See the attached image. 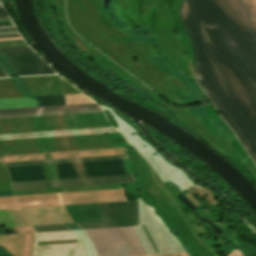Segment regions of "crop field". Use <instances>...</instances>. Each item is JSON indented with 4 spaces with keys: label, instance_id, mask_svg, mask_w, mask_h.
Wrapping results in <instances>:
<instances>
[{
    "label": "crop field",
    "instance_id": "8a807250",
    "mask_svg": "<svg viewBox=\"0 0 256 256\" xmlns=\"http://www.w3.org/2000/svg\"><path fill=\"white\" fill-rule=\"evenodd\" d=\"M91 238L97 256L136 255L133 248L116 227L85 230Z\"/></svg>",
    "mask_w": 256,
    "mask_h": 256
},
{
    "label": "crop field",
    "instance_id": "ac0d7876",
    "mask_svg": "<svg viewBox=\"0 0 256 256\" xmlns=\"http://www.w3.org/2000/svg\"><path fill=\"white\" fill-rule=\"evenodd\" d=\"M18 76L55 73L34 51L2 53Z\"/></svg>",
    "mask_w": 256,
    "mask_h": 256
},
{
    "label": "crop field",
    "instance_id": "34b2d1b8",
    "mask_svg": "<svg viewBox=\"0 0 256 256\" xmlns=\"http://www.w3.org/2000/svg\"><path fill=\"white\" fill-rule=\"evenodd\" d=\"M100 205L116 226L138 225L137 201L106 202L100 203Z\"/></svg>",
    "mask_w": 256,
    "mask_h": 256
},
{
    "label": "crop field",
    "instance_id": "412701ff",
    "mask_svg": "<svg viewBox=\"0 0 256 256\" xmlns=\"http://www.w3.org/2000/svg\"><path fill=\"white\" fill-rule=\"evenodd\" d=\"M56 166L59 178L80 176L74 163L56 164ZM8 169L10 170L12 181L45 179L41 165L15 166L8 167Z\"/></svg>",
    "mask_w": 256,
    "mask_h": 256
},
{
    "label": "crop field",
    "instance_id": "f4fd0767",
    "mask_svg": "<svg viewBox=\"0 0 256 256\" xmlns=\"http://www.w3.org/2000/svg\"><path fill=\"white\" fill-rule=\"evenodd\" d=\"M82 176L126 173L123 160L75 163Z\"/></svg>",
    "mask_w": 256,
    "mask_h": 256
},
{
    "label": "crop field",
    "instance_id": "dd49c442",
    "mask_svg": "<svg viewBox=\"0 0 256 256\" xmlns=\"http://www.w3.org/2000/svg\"><path fill=\"white\" fill-rule=\"evenodd\" d=\"M38 106L65 104L63 95L31 97ZM29 97L0 99V108L37 106Z\"/></svg>",
    "mask_w": 256,
    "mask_h": 256
},
{
    "label": "crop field",
    "instance_id": "e52e79f7",
    "mask_svg": "<svg viewBox=\"0 0 256 256\" xmlns=\"http://www.w3.org/2000/svg\"><path fill=\"white\" fill-rule=\"evenodd\" d=\"M14 190L85 185L82 177L12 182Z\"/></svg>",
    "mask_w": 256,
    "mask_h": 256
},
{
    "label": "crop field",
    "instance_id": "d8731c3e",
    "mask_svg": "<svg viewBox=\"0 0 256 256\" xmlns=\"http://www.w3.org/2000/svg\"><path fill=\"white\" fill-rule=\"evenodd\" d=\"M75 222L108 220L98 203L66 205Z\"/></svg>",
    "mask_w": 256,
    "mask_h": 256
},
{
    "label": "crop field",
    "instance_id": "5a996713",
    "mask_svg": "<svg viewBox=\"0 0 256 256\" xmlns=\"http://www.w3.org/2000/svg\"><path fill=\"white\" fill-rule=\"evenodd\" d=\"M87 185L136 182L133 174L84 177Z\"/></svg>",
    "mask_w": 256,
    "mask_h": 256
},
{
    "label": "crop field",
    "instance_id": "3316defc",
    "mask_svg": "<svg viewBox=\"0 0 256 256\" xmlns=\"http://www.w3.org/2000/svg\"><path fill=\"white\" fill-rule=\"evenodd\" d=\"M118 228L125 235V237L131 242V244L134 246L138 255H146L137 236H136V231H135L134 226L118 227Z\"/></svg>",
    "mask_w": 256,
    "mask_h": 256
},
{
    "label": "crop field",
    "instance_id": "28ad6ade",
    "mask_svg": "<svg viewBox=\"0 0 256 256\" xmlns=\"http://www.w3.org/2000/svg\"><path fill=\"white\" fill-rule=\"evenodd\" d=\"M59 109H66V106L65 105H59V106H45V107L1 109L0 114H2V113H16V112L45 111V110H59Z\"/></svg>",
    "mask_w": 256,
    "mask_h": 256
},
{
    "label": "crop field",
    "instance_id": "d1516ede",
    "mask_svg": "<svg viewBox=\"0 0 256 256\" xmlns=\"http://www.w3.org/2000/svg\"><path fill=\"white\" fill-rule=\"evenodd\" d=\"M64 162H73V161L71 158H65V159H51V160H37V161L9 162V163H4V164L6 166H15V165L64 163Z\"/></svg>",
    "mask_w": 256,
    "mask_h": 256
},
{
    "label": "crop field",
    "instance_id": "22f410ed",
    "mask_svg": "<svg viewBox=\"0 0 256 256\" xmlns=\"http://www.w3.org/2000/svg\"><path fill=\"white\" fill-rule=\"evenodd\" d=\"M66 110L59 111H45V112H31V113H17V114H2L0 118H9V117H25V116H41V115H57L65 114Z\"/></svg>",
    "mask_w": 256,
    "mask_h": 256
},
{
    "label": "crop field",
    "instance_id": "cbeb9de0",
    "mask_svg": "<svg viewBox=\"0 0 256 256\" xmlns=\"http://www.w3.org/2000/svg\"><path fill=\"white\" fill-rule=\"evenodd\" d=\"M116 158H128L127 154L120 155H106V156H93V157H79L73 158L75 162L80 161H92V160H104V159H116Z\"/></svg>",
    "mask_w": 256,
    "mask_h": 256
},
{
    "label": "crop field",
    "instance_id": "5142ce71",
    "mask_svg": "<svg viewBox=\"0 0 256 256\" xmlns=\"http://www.w3.org/2000/svg\"><path fill=\"white\" fill-rule=\"evenodd\" d=\"M35 232L70 229L66 224L32 226Z\"/></svg>",
    "mask_w": 256,
    "mask_h": 256
},
{
    "label": "crop field",
    "instance_id": "d9b57169",
    "mask_svg": "<svg viewBox=\"0 0 256 256\" xmlns=\"http://www.w3.org/2000/svg\"><path fill=\"white\" fill-rule=\"evenodd\" d=\"M79 229L114 226L110 221L76 223Z\"/></svg>",
    "mask_w": 256,
    "mask_h": 256
},
{
    "label": "crop field",
    "instance_id": "733c2abd",
    "mask_svg": "<svg viewBox=\"0 0 256 256\" xmlns=\"http://www.w3.org/2000/svg\"><path fill=\"white\" fill-rule=\"evenodd\" d=\"M32 50L28 46H20V47H4L0 48V52H9V51H25Z\"/></svg>",
    "mask_w": 256,
    "mask_h": 256
},
{
    "label": "crop field",
    "instance_id": "4a817a6b",
    "mask_svg": "<svg viewBox=\"0 0 256 256\" xmlns=\"http://www.w3.org/2000/svg\"><path fill=\"white\" fill-rule=\"evenodd\" d=\"M102 111L101 108H92V109H76V110H68L67 114L73 113H85V112H97Z\"/></svg>",
    "mask_w": 256,
    "mask_h": 256
},
{
    "label": "crop field",
    "instance_id": "bc2a9ffb",
    "mask_svg": "<svg viewBox=\"0 0 256 256\" xmlns=\"http://www.w3.org/2000/svg\"><path fill=\"white\" fill-rule=\"evenodd\" d=\"M68 109L98 107L96 103L67 105Z\"/></svg>",
    "mask_w": 256,
    "mask_h": 256
},
{
    "label": "crop field",
    "instance_id": "214f88e0",
    "mask_svg": "<svg viewBox=\"0 0 256 256\" xmlns=\"http://www.w3.org/2000/svg\"><path fill=\"white\" fill-rule=\"evenodd\" d=\"M3 76H9V75L7 74L5 69L3 68L2 64L0 63V77H3Z\"/></svg>",
    "mask_w": 256,
    "mask_h": 256
},
{
    "label": "crop field",
    "instance_id": "92a150f3",
    "mask_svg": "<svg viewBox=\"0 0 256 256\" xmlns=\"http://www.w3.org/2000/svg\"><path fill=\"white\" fill-rule=\"evenodd\" d=\"M13 195L12 191L0 192V196Z\"/></svg>",
    "mask_w": 256,
    "mask_h": 256
},
{
    "label": "crop field",
    "instance_id": "dafd665d",
    "mask_svg": "<svg viewBox=\"0 0 256 256\" xmlns=\"http://www.w3.org/2000/svg\"><path fill=\"white\" fill-rule=\"evenodd\" d=\"M17 42H23V40H15V41H0V44H2V43H17Z\"/></svg>",
    "mask_w": 256,
    "mask_h": 256
},
{
    "label": "crop field",
    "instance_id": "00972430",
    "mask_svg": "<svg viewBox=\"0 0 256 256\" xmlns=\"http://www.w3.org/2000/svg\"><path fill=\"white\" fill-rule=\"evenodd\" d=\"M0 16H7L3 8H0Z\"/></svg>",
    "mask_w": 256,
    "mask_h": 256
},
{
    "label": "crop field",
    "instance_id": "a9b5d70f",
    "mask_svg": "<svg viewBox=\"0 0 256 256\" xmlns=\"http://www.w3.org/2000/svg\"><path fill=\"white\" fill-rule=\"evenodd\" d=\"M13 36H20L19 34H12V35H0V37H13Z\"/></svg>",
    "mask_w": 256,
    "mask_h": 256
},
{
    "label": "crop field",
    "instance_id": "4177f3b9",
    "mask_svg": "<svg viewBox=\"0 0 256 256\" xmlns=\"http://www.w3.org/2000/svg\"><path fill=\"white\" fill-rule=\"evenodd\" d=\"M5 25H13L12 22H4L0 23V26H5Z\"/></svg>",
    "mask_w": 256,
    "mask_h": 256
},
{
    "label": "crop field",
    "instance_id": "730fd06b",
    "mask_svg": "<svg viewBox=\"0 0 256 256\" xmlns=\"http://www.w3.org/2000/svg\"><path fill=\"white\" fill-rule=\"evenodd\" d=\"M12 33H18V32L17 31L0 32V34H12Z\"/></svg>",
    "mask_w": 256,
    "mask_h": 256
},
{
    "label": "crop field",
    "instance_id": "eef30255",
    "mask_svg": "<svg viewBox=\"0 0 256 256\" xmlns=\"http://www.w3.org/2000/svg\"><path fill=\"white\" fill-rule=\"evenodd\" d=\"M9 30H16V29L15 28L0 29V31H9Z\"/></svg>",
    "mask_w": 256,
    "mask_h": 256
},
{
    "label": "crop field",
    "instance_id": "ae1a2a85",
    "mask_svg": "<svg viewBox=\"0 0 256 256\" xmlns=\"http://www.w3.org/2000/svg\"><path fill=\"white\" fill-rule=\"evenodd\" d=\"M4 21H11L10 19H3V20H0V22H4Z\"/></svg>",
    "mask_w": 256,
    "mask_h": 256
},
{
    "label": "crop field",
    "instance_id": "d3111659",
    "mask_svg": "<svg viewBox=\"0 0 256 256\" xmlns=\"http://www.w3.org/2000/svg\"><path fill=\"white\" fill-rule=\"evenodd\" d=\"M0 2H1V3L3 4V6H4L6 0H0Z\"/></svg>",
    "mask_w": 256,
    "mask_h": 256
},
{
    "label": "crop field",
    "instance_id": "750c4746",
    "mask_svg": "<svg viewBox=\"0 0 256 256\" xmlns=\"http://www.w3.org/2000/svg\"><path fill=\"white\" fill-rule=\"evenodd\" d=\"M8 27H14V26H5V27H0V28H8Z\"/></svg>",
    "mask_w": 256,
    "mask_h": 256
},
{
    "label": "crop field",
    "instance_id": "bd1437ed",
    "mask_svg": "<svg viewBox=\"0 0 256 256\" xmlns=\"http://www.w3.org/2000/svg\"><path fill=\"white\" fill-rule=\"evenodd\" d=\"M2 18H9V17H0V19H2Z\"/></svg>",
    "mask_w": 256,
    "mask_h": 256
},
{
    "label": "crop field",
    "instance_id": "1d83c4d3",
    "mask_svg": "<svg viewBox=\"0 0 256 256\" xmlns=\"http://www.w3.org/2000/svg\"><path fill=\"white\" fill-rule=\"evenodd\" d=\"M0 7H2V5H0Z\"/></svg>",
    "mask_w": 256,
    "mask_h": 256
}]
</instances>
